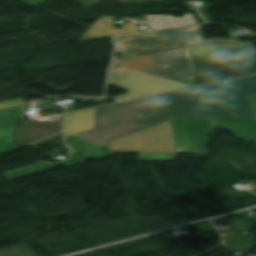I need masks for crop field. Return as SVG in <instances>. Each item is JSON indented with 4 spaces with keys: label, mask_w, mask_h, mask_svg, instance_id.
<instances>
[{
    "label": "crop field",
    "mask_w": 256,
    "mask_h": 256,
    "mask_svg": "<svg viewBox=\"0 0 256 256\" xmlns=\"http://www.w3.org/2000/svg\"><path fill=\"white\" fill-rule=\"evenodd\" d=\"M241 119L253 120L247 97L215 102Z\"/></svg>",
    "instance_id": "22f410ed"
},
{
    "label": "crop field",
    "mask_w": 256,
    "mask_h": 256,
    "mask_svg": "<svg viewBox=\"0 0 256 256\" xmlns=\"http://www.w3.org/2000/svg\"><path fill=\"white\" fill-rule=\"evenodd\" d=\"M183 116L237 118L212 103L138 118L128 102H125L96 108L95 128L78 135L99 145L165 119Z\"/></svg>",
    "instance_id": "ac0d7876"
},
{
    "label": "crop field",
    "mask_w": 256,
    "mask_h": 256,
    "mask_svg": "<svg viewBox=\"0 0 256 256\" xmlns=\"http://www.w3.org/2000/svg\"><path fill=\"white\" fill-rule=\"evenodd\" d=\"M65 142L75 152L69 153L71 159L49 164L47 161L37 163L34 165L26 166L23 168L15 169L12 171L4 172V174L10 179H18L25 176L40 173L46 170H50L53 167L64 165L67 168L83 163L82 161L89 158L101 159L111 155L109 144L102 145L100 147L87 141L86 139L74 135L65 138ZM68 155V154H67Z\"/></svg>",
    "instance_id": "dd49c442"
},
{
    "label": "crop field",
    "mask_w": 256,
    "mask_h": 256,
    "mask_svg": "<svg viewBox=\"0 0 256 256\" xmlns=\"http://www.w3.org/2000/svg\"><path fill=\"white\" fill-rule=\"evenodd\" d=\"M0 256H38L26 245L0 251Z\"/></svg>",
    "instance_id": "cbeb9de0"
},
{
    "label": "crop field",
    "mask_w": 256,
    "mask_h": 256,
    "mask_svg": "<svg viewBox=\"0 0 256 256\" xmlns=\"http://www.w3.org/2000/svg\"><path fill=\"white\" fill-rule=\"evenodd\" d=\"M187 90L211 102L251 95L256 93V75Z\"/></svg>",
    "instance_id": "d8731c3e"
},
{
    "label": "crop field",
    "mask_w": 256,
    "mask_h": 256,
    "mask_svg": "<svg viewBox=\"0 0 256 256\" xmlns=\"http://www.w3.org/2000/svg\"><path fill=\"white\" fill-rule=\"evenodd\" d=\"M94 109L65 115L66 136L94 128Z\"/></svg>",
    "instance_id": "28ad6ade"
},
{
    "label": "crop field",
    "mask_w": 256,
    "mask_h": 256,
    "mask_svg": "<svg viewBox=\"0 0 256 256\" xmlns=\"http://www.w3.org/2000/svg\"><path fill=\"white\" fill-rule=\"evenodd\" d=\"M145 16L152 30L167 28V27L196 24V21L193 18L192 14H183V17H180V18H176L173 16H166V15H158V16L145 15Z\"/></svg>",
    "instance_id": "d1516ede"
},
{
    "label": "crop field",
    "mask_w": 256,
    "mask_h": 256,
    "mask_svg": "<svg viewBox=\"0 0 256 256\" xmlns=\"http://www.w3.org/2000/svg\"><path fill=\"white\" fill-rule=\"evenodd\" d=\"M121 67L118 63V59H115L111 68Z\"/></svg>",
    "instance_id": "4a817a6b"
},
{
    "label": "crop field",
    "mask_w": 256,
    "mask_h": 256,
    "mask_svg": "<svg viewBox=\"0 0 256 256\" xmlns=\"http://www.w3.org/2000/svg\"><path fill=\"white\" fill-rule=\"evenodd\" d=\"M176 157V153H139V159L147 161L170 160Z\"/></svg>",
    "instance_id": "5142ce71"
},
{
    "label": "crop field",
    "mask_w": 256,
    "mask_h": 256,
    "mask_svg": "<svg viewBox=\"0 0 256 256\" xmlns=\"http://www.w3.org/2000/svg\"><path fill=\"white\" fill-rule=\"evenodd\" d=\"M128 102L138 117L209 103L184 90Z\"/></svg>",
    "instance_id": "e52e79f7"
},
{
    "label": "crop field",
    "mask_w": 256,
    "mask_h": 256,
    "mask_svg": "<svg viewBox=\"0 0 256 256\" xmlns=\"http://www.w3.org/2000/svg\"><path fill=\"white\" fill-rule=\"evenodd\" d=\"M114 24V16H103L92 24L81 40L142 32L136 23L122 25L123 30L114 28Z\"/></svg>",
    "instance_id": "3316defc"
},
{
    "label": "crop field",
    "mask_w": 256,
    "mask_h": 256,
    "mask_svg": "<svg viewBox=\"0 0 256 256\" xmlns=\"http://www.w3.org/2000/svg\"><path fill=\"white\" fill-rule=\"evenodd\" d=\"M109 83L128 90L127 94L115 97L116 100H127L188 86L126 67L111 69Z\"/></svg>",
    "instance_id": "f4fd0767"
},
{
    "label": "crop field",
    "mask_w": 256,
    "mask_h": 256,
    "mask_svg": "<svg viewBox=\"0 0 256 256\" xmlns=\"http://www.w3.org/2000/svg\"><path fill=\"white\" fill-rule=\"evenodd\" d=\"M44 103H46V102L45 101L36 102L37 105L44 104Z\"/></svg>",
    "instance_id": "bc2a9ffb"
},
{
    "label": "crop field",
    "mask_w": 256,
    "mask_h": 256,
    "mask_svg": "<svg viewBox=\"0 0 256 256\" xmlns=\"http://www.w3.org/2000/svg\"><path fill=\"white\" fill-rule=\"evenodd\" d=\"M177 151L195 152L207 155L205 144L208 143V132L213 127L222 126L236 134L256 143L255 121H231L209 118L172 119Z\"/></svg>",
    "instance_id": "34b2d1b8"
},
{
    "label": "crop field",
    "mask_w": 256,
    "mask_h": 256,
    "mask_svg": "<svg viewBox=\"0 0 256 256\" xmlns=\"http://www.w3.org/2000/svg\"><path fill=\"white\" fill-rule=\"evenodd\" d=\"M22 99L23 98L0 102V108L25 104V102H23Z\"/></svg>",
    "instance_id": "d9b57169"
},
{
    "label": "crop field",
    "mask_w": 256,
    "mask_h": 256,
    "mask_svg": "<svg viewBox=\"0 0 256 256\" xmlns=\"http://www.w3.org/2000/svg\"><path fill=\"white\" fill-rule=\"evenodd\" d=\"M120 57L189 48L195 85L256 73V49L240 39L204 40L201 25L114 38Z\"/></svg>",
    "instance_id": "8a807250"
},
{
    "label": "crop field",
    "mask_w": 256,
    "mask_h": 256,
    "mask_svg": "<svg viewBox=\"0 0 256 256\" xmlns=\"http://www.w3.org/2000/svg\"><path fill=\"white\" fill-rule=\"evenodd\" d=\"M249 103H250V107L253 113V117L256 120V94L255 95H251V96H247Z\"/></svg>",
    "instance_id": "733c2abd"
},
{
    "label": "crop field",
    "mask_w": 256,
    "mask_h": 256,
    "mask_svg": "<svg viewBox=\"0 0 256 256\" xmlns=\"http://www.w3.org/2000/svg\"><path fill=\"white\" fill-rule=\"evenodd\" d=\"M25 106L0 110V154L17 148L13 142L16 124Z\"/></svg>",
    "instance_id": "5a996713"
},
{
    "label": "crop field",
    "mask_w": 256,
    "mask_h": 256,
    "mask_svg": "<svg viewBox=\"0 0 256 256\" xmlns=\"http://www.w3.org/2000/svg\"><path fill=\"white\" fill-rule=\"evenodd\" d=\"M122 66L194 86L195 66L188 49L120 58Z\"/></svg>",
    "instance_id": "412701ff"
}]
</instances>
